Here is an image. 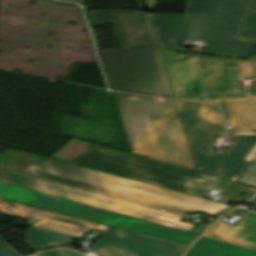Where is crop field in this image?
I'll return each instance as SVG.
<instances>
[{
	"label": "crop field",
	"instance_id": "1",
	"mask_svg": "<svg viewBox=\"0 0 256 256\" xmlns=\"http://www.w3.org/2000/svg\"><path fill=\"white\" fill-rule=\"evenodd\" d=\"M0 182L188 232L195 226L179 222L181 217L163 211L216 214L230 207L50 159L1 173Z\"/></svg>",
	"mask_w": 256,
	"mask_h": 256
},
{
	"label": "crop field",
	"instance_id": "2",
	"mask_svg": "<svg viewBox=\"0 0 256 256\" xmlns=\"http://www.w3.org/2000/svg\"><path fill=\"white\" fill-rule=\"evenodd\" d=\"M199 172L236 181L256 154V97L221 100L234 141L227 156L213 155L212 135L225 134L216 101H176Z\"/></svg>",
	"mask_w": 256,
	"mask_h": 256
},
{
	"label": "crop field",
	"instance_id": "3",
	"mask_svg": "<svg viewBox=\"0 0 256 256\" xmlns=\"http://www.w3.org/2000/svg\"><path fill=\"white\" fill-rule=\"evenodd\" d=\"M253 0H187L186 15L148 14L161 50L176 51L179 39L202 41L200 52L246 59L256 41L237 38ZM251 11L256 12V0Z\"/></svg>",
	"mask_w": 256,
	"mask_h": 256
},
{
	"label": "crop field",
	"instance_id": "4",
	"mask_svg": "<svg viewBox=\"0 0 256 256\" xmlns=\"http://www.w3.org/2000/svg\"><path fill=\"white\" fill-rule=\"evenodd\" d=\"M52 157L205 197L214 189L243 202L255 188L72 139Z\"/></svg>",
	"mask_w": 256,
	"mask_h": 256
},
{
	"label": "crop field",
	"instance_id": "5",
	"mask_svg": "<svg viewBox=\"0 0 256 256\" xmlns=\"http://www.w3.org/2000/svg\"><path fill=\"white\" fill-rule=\"evenodd\" d=\"M114 93L135 155L195 170L173 101Z\"/></svg>",
	"mask_w": 256,
	"mask_h": 256
},
{
	"label": "crop field",
	"instance_id": "6",
	"mask_svg": "<svg viewBox=\"0 0 256 256\" xmlns=\"http://www.w3.org/2000/svg\"><path fill=\"white\" fill-rule=\"evenodd\" d=\"M100 52L113 90L173 98L157 47Z\"/></svg>",
	"mask_w": 256,
	"mask_h": 256
},
{
	"label": "crop field",
	"instance_id": "7",
	"mask_svg": "<svg viewBox=\"0 0 256 256\" xmlns=\"http://www.w3.org/2000/svg\"><path fill=\"white\" fill-rule=\"evenodd\" d=\"M0 198L109 226L119 225L129 218L115 212L70 202L2 183H0Z\"/></svg>",
	"mask_w": 256,
	"mask_h": 256
},
{
	"label": "crop field",
	"instance_id": "8",
	"mask_svg": "<svg viewBox=\"0 0 256 256\" xmlns=\"http://www.w3.org/2000/svg\"><path fill=\"white\" fill-rule=\"evenodd\" d=\"M199 63L209 99L247 95L237 79L256 78V58L231 60L199 55ZM256 95V89H248Z\"/></svg>",
	"mask_w": 256,
	"mask_h": 256
},
{
	"label": "crop field",
	"instance_id": "9",
	"mask_svg": "<svg viewBox=\"0 0 256 256\" xmlns=\"http://www.w3.org/2000/svg\"><path fill=\"white\" fill-rule=\"evenodd\" d=\"M185 248L112 228L87 249L101 256H180Z\"/></svg>",
	"mask_w": 256,
	"mask_h": 256
},
{
	"label": "crop field",
	"instance_id": "10",
	"mask_svg": "<svg viewBox=\"0 0 256 256\" xmlns=\"http://www.w3.org/2000/svg\"><path fill=\"white\" fill-rule=\"evenodd\" d=\"M93 25L113 23L122 48L157 46L146 13L136 11H92Z\"/></svg>",
	"mask_w": 256,
	"mask_h": 256
},
{
	"label": "crop field",
	"instance_id": "11",
	"mask_svg": "<svg viewBox=\"0 0 256 256\" xmlns=\"http://www.w3.org/2000/svg\"><path fill=\"white\" fill-rule=\"evenodd\" d=\"M175 99H205L196 55L160 51Z\"/></svg>",
	"mask_w": 256,
	"mask_h": 256
},
{
	"label": "crop field",
	"instance_id": "12",
	"mask_svg": "<svg viewBox=\"0 0 256 256\" xmlns=\"http://www.w3.org/2000/svg\"><path fill=\"white\" fill-rule=\"evenodd\" d=\"M17 210H18L19 217L30 220L27 224L31 225L36 220H42L40 222L33 224V226L54 231L57 233L65 234V235L80 237L91 230L88 228L79 227L77 225H82V226L90 227L92 229H97L101 231H106L107 229H109V227L102 226L100 224L78 220V219L62 216L60 214L46 212L36 208L27 207L19 204H17ZM63 221H67L77 225L64 223Z\"/></svg>",
	"mask_w": 256,
	"mask_h": 256
},
{
	"label": "crop field",
	"instance_id": "13",
	"mask_svg": "<svg viewBox=\"0 0 256 256\" xmlns=\"http://www.w3.org/2000/svg\"><path fill=\"white\" fill-rule=\"evenodd\" d=\"M242 214L236 225L219 220L204 237L256 250V213L236 209Z\"/></svg>",
	"mask_w": 256,
	"mask_h": 256
},
{
	"label": "crop field",
	"instance_id": "14",
	"mask_svg": "<svg viewBox=\"0 0 256 256\" xmlns=\"http://www.w3.org/2000/svg\"><path fill=\"white\" fill-rule=\"evenodd\" d=\"M119 229L139 233L142 235L182 244L188 246L198 236L169 229L166 227L154 225L152 223L135 220L133 218L124 222L118 227Z\"/></svg>",
	"mask_w": 256,
	"mask_h": 256
},
{
	"label": "crop field",
	"instance_id": "15",
	"mask_svg": "<svg viewBox=\"0 0 256 256\" xmlns=\"http://www.w3.org/2000/svg\"><path fill=\"white\" fill-rule=\"evenodd\" d=\"M185 256H256V251L202 237Z\"/></svg>",
	"mask_w": 256,
	"mask_h": 256
},
{
	"label": "crop field",
	"instance_id": "16",
	"mask_svg": "<svg viewBox=\"0 0 256 256\" xmlns=\"http://www.w3.org/2000/svg\"><path fill=\"white\" fill-rule=\"evenodd\" d=\"M26 238L29 244L37 252L42 251L40 247L43 246L59 244L61 242L74 240V238L70 236H65L34 227L28 230Z\"/></svg>",
	"mask_w": 256,
	"mask_h": 256
},
{
	"label": "crop field",
	"instance_id": "17",
	"mask_svg": "<svg viewBox=\"0 0 256 256\" xmlns=\"http://www.w3.org/2000/svg\"><path fill=\"white\" fill-rule=\"evenodd\" d=\"M3 152H5L4 155L0 154V172L45 158L23 151H19V153L10 151Z\"/></svg>",
	"mask_w": 256,
	"mask_h": 256
},
{
	"label": "crop field",
	"instance_id": "18",
	"mask_svg": "<svg viewBox=\"0 0 256 256\" xmlns=\"http://www.w3.org/2000/svg\"><path fill=\"white\" fill-rule=\"evenodd\" d=\"M9 245V244H8ZM1 238H0V256H19L12 248H10ZM83 254L75 253L68 249H57L53 251H47L39 254H34L30 256H82Z\"/></svg>",
	"mask_w": 256,
	"mask_h": 256
},
{
	"label": "crop field",
	"instance_id": "19",
	"mask_svg": "<svg viewBox=\"0 0 256 256\" xmlns=\"http://www.w3.org/2000/svg\"><path fill=\"white\" fill-rule=\"evenodd\" d=\"M240 37L256 40V14L255 13L249 14Z\"/></svg>",
	"mask_w": 256,
	"mask_h": 256
},
{
	"label": "crop field",
	"instance_id": "20",
	"mask_svg": "<svg viewBox=\"0 0 256 256\" xmlns=\"http://www.w3.org/2000/svg\"><path fill=\"white\" fill-rule=\"evenodd\" d=\"M237 182L256 187V162L247 167Z\"/></svg>",
	"mask_w": 256,
	"mask_h": 256
},
{
	"label": "crop field",
	"instance_id": "21",
	"mask_svg": "<svg viewBox=\"0 0 256 256\" xmlns=\"http://www.w3.org/2000/svg\"><path fill=\"white\" fill-rule=\"evenodd\" d=\"M16 203L0 199V212L12 216H17Z\"/></svg>",
	"mask_w": 256,
	"mask_h": 256
},
{
	"label": "crop field",
	"instance_id": "22",
	"mask_svg": "<svg viewBox=\"0 0 256 256\" xmlns=\"http://www.w3.org/2000/svg\"><path fill=\"white\" fill-rule=\"evenodd\" d=\"M209 225L201 223L192 233L200 235Z\"/></svg>",
	"mask_w": 256,
	"mask_h": 256
},
{
	"label": "crop field",
	"instance_id": "23",
	"mask_svg": "<svg viewBox=\"0 0 256 256\" xmlns=\"http://www.w3.org/2000/svg\"><path fill=\"white\" fill-rule=\"evenodd\" d=\"M247 204L255 205L256 206V197L250 200Z\"/></svg>",
	"mask_w": 256,
	"mask_h": 256
},
{
	"label": "crop field",
	"instance_id": "24",
	"mask_svg": "<svg viewBox=\"0 0 256 256\" xmlns=\"http://www.w3.org/2000/svg\"><path fill=\"white\" fill-rule=\"evenodd\" d=\"M254 161H256V156H255L254 159L251 161V163L254 162Z\"/></svg>",
	"mask_w": 256,
	"mask_h": 256
}]
</instances>
